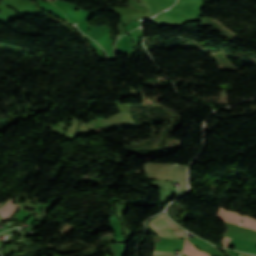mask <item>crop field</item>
I'll use <instances>...</instances> for the list:
<instances>
[{"instance_id": "crop-field-8", "label": "crop field", "mask_w": 256, "mask_h": 256, "mask_svg": "<svg viewBox=\"0 0 256 256\" xmlns=\"http://www.w3.org/2000/svg\"><path fill=\"white\" fill-rule=\"evenodd\" d=\"M154 256H174V252L154 251Z\"/></svg>"}, {"instance_id": "crop-field-4", "label": "crop field", "mask_w": 256, "mask_h": 256, "mask_svg": "<svg viewBox=\"0 0 256 256\" xmlns=\"http://www.w3.org/2000/svg\"><path fill=\"white\" fill-rule=\"evenodd\" d=\"M188 166L175 165L172 171L174 179L181 183L182 189H187V172Z\"/></svg>"}, {"instance_id": "crop-field-6", "label": "crop field", "mask_w": 256, "mask_h": 256, "mask_svg": "<svg viewBox=\"0 0 256 256\" xmlns=\"http://www.w3.org/2000/svg\"><path fill=\"white\" fill-rule=\"evenodd\" d=\"M183 253L187 256H209L208 254L197 250L188 240H185Z\"/></svg>"}, {"instance_id": "crop-field-3", "label": "crop field", "mask_w": 256, "mask_h": 256, "mask_svg": "<svg viewBox=\"0 0 256 256\" xmlns=\"http://www.w3.org/2000/svg\"><path fill=\"white\" fill-rule=\"evenodd\" d=\"M171 168H172V165L152 164V163L143 164L144 171L153 173L160 178H167V179L173 180L170 173Z\"/></svg>"}, {"instance_id": "crop-field-5", "label": "crop field", "mask_w": 256, "mask_h": 256, "mask_svg": "<svg viewBox=\"0 0 256 256\" xmlns=\"http://www.w3.org/2000/svg\"><path fill=\"white\" fill-rule=\"evenodd\" d=\"M17 205L13 204V199L7 200L5 203L0 205V217L4 220L8 219L15 211Z\"/></svg>"}, {"instance_id": "crop-field-2", "label": "crop field", "mask_w": 256, "mask_h": 256, "mask_svg": "<svg viewBox=\"0 0 256 256\" xmlns=\"http://www.w3.org/2000/svg\"><path fill=\"white\" fill-rule=\"evenodd\" d=\"M148 223H150L157 233L162 237L174 238L183 237L185 238V230L178 226L176 223L172 222L165 213H162L154 218H152Z\"/></svg>"}, {"instance_id": "crop-field-7", "label": "crop field", "mask_w": 256, "mask_h": 256, "mask_svg": "<svg viewBox=\"0 0 256 256\" xmlns=\"http://www.w3.org/2000/svg\"><path fill=\"white\" fill-rule=\"evenodd\" d=\"M100 32H110L108 26L106 27H91V34L93 38H99Z\"/></svg>"}, {"instance_id": "crop-field-1", "label": "crop field", "mask_w": 256, "mask_h": 256, "mask_svg": "<svg viewBox=\"0 0 256 256\" xmlns=\"http://www.w3.org/2000/svg\"><path fill=\"white\" fill-rule=\"evenodd\" d=\"M245 216L246 215L241 216L240 214H238L236 212H228V211L220 208L216 218L238 225V223L241 220H243L245 218ZM230 241H231L230 239L224 238V240L221 241V243H223L224 244L223 247H225ZM231 245H235L236 246L235 247L236 250H240V251L256 254V243L255 242H246V241L232 240L226 246V248L231 246Z\"/></svg>"}]
</instances>
